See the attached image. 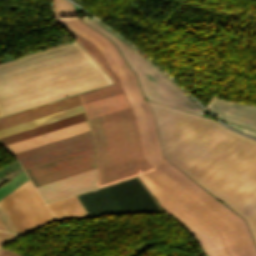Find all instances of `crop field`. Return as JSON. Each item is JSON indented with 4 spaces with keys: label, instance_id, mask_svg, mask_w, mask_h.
I'll list each match as a JSON object with an SVG mask.
<instances>
[{
    "label": "crop field",
    "instance_id": "obj_1",
    "mask_svg": "<svg viewBox=\"0 0 256 256\" xmlns=\"http://www.w3.org/2000/svg\"><path fill=\"white\" fill-rule=\"evenodd\" d=\"M57 21L115 83L80 95L97 144L99 187L137 175L208 256H256L245 221L161 157L135 75L109 39L78 18Z\"/></svg>",
    "mask_w": 256,
    "mask_h": 256
},
{
    "label": "crop field",
    "instance_id": "obj_2",
    "mask_svg": "<svg viewBox=\"0 0 256 256\" xmlns=\"http://www.w3.org/2000/svg\"><path fill=\"white\" fill-rule=\"evenodd\" d=\"M163 157L244 218L256 242V140L148 101Z\"/></svg>",
    "mask_w": 256,
    "mask_h": 256
},
{
    "label": "crop field",
    "instance_id": "obj_3",
    "mask_svg": "<svg viewBox=\"0 0 256 256\" xmlns=\"http://www.w3.org/2000/svg\"><path fill=\"white\" fill-rule=\"evenodd\" d=\"M111 83L75 41L30 53L0 64V117Z\"/></svg>",
    "mask_w": 256,
    "mask_h": 256
},
{
    "label": "crop field",
    "instance_id": "obj_4",
    "mask_svg": "<svg viewBox=\"0 0 256 256\" xmlns=\"http://www.w3.org/2000/svg\"><path fill=\"white\" fill-rule=\"evenodd\" d=\"M81 20L107 36L114 43L136 74L147 99L203 115V110L185 91L167 78L128 43L94 19L83 18Z\"/></svg>",
    "mask_w": 256,
    "mask_h": 256
},
{
    "label": "crop field",
    "instance_id": "obj_5",
    "mask_svg": "<svg viewBox=\"0 0 256 256\" xmlns=\"http://www.w3.org/2000/svg\"><path fill=\"white\" fill-rule=\"evenodd\" d=\"M89 217L129 211H161L137 177L77 195Z\"/></svg>",
    "mask_w": 256,
    "mask_h": 256
},
{
    "label": "crop field",
    "instance_id": "obj_6",
    "mask_svg": "<svg viewBox=\"0 0 256 256\" xmlns=\"http://www.w3.org/2000/svg\"><path fill=\"white\" fill-rule=\"evenodd\" d=\"M0 204L20 233L54 220L30 181L3 198Z\"/></svg>",
    "mask_w": 256,
    "mask_h": 256
},
{
    "label": "crop field",
    "instance_id": "obj_7",
    "mask_svg": "<svg viewBox=\"0 0 256 256\" xmlns=\"http://www.w3.org/2000/svg\"><path fill=\"white\" fill-rule=\"evenodd\" d=\"M96 168L95 147L25 168L35 187Z\"/></svg>",
    "mask_w": 256,
    "mask_h": 256
},
{
    "label": "crop field",
    "instance_id": "obj_8",
    "mask_svg": "<svg viewBox=\"0 0 256 256\" xmlns=\"http://www.w3.org/2000/svg\"><path fill=\"white\" fill-rule=\"evenodd\" d=\"M91 132L82 133L34 149L14 154L23 168L94 147Z\"/></svg>",
    "mask_w": 256,
    "mask_h": 256
},
{
    "label": "crop field",
    "instance_id": "obj_9",
    "mask_svg": "<svg viewBox=\"0 0 256 256\" xmlns=\"http://www.w3.org/2000/svg\"><path fill=\"white\" fill-rule=\"evenodd\" d=\"M206 107L217 117L227 121L226 124L256 137V131L229 124V122H231L256 130L255 106L212 97Z\"/></svg>",
    "mask_w": 256,
    "mask_h": 256
},
{
    "label": "crop field",
    "instance_id": "obj_10",
    "mask_svg": "<svg viewBox=\"0 0 256 256\" xmlns=\"http://www.w3.org/2000/svg\"><path fill=\"white\" fill-rule=\"evenodd\" d=\"M97 187L96 169L44 186L37 187V190L46 203L78 193H82Z\"/></svg>",
    "mask_w": 256,
    "mask_h": 256
},
{
    "label": "crop field",
    "instance_id": "obj_11",
    "mask_svg": "<svg viewBox=\"0 0 256 256\" xmlns=\"http://www.w3.org/2000/svg\"><path fill=\"white\" fill-rule=\"evenodd\" d=\"M77 95L0 118V128L80 105Z\"/></svg>",
    "mask_w": 256,
    "mask_h": 256
},
{
    "label": "crop field",
    "instance_id": "obj_12",
    "mask_svg": "<svg viewBox=\"0 0 256 256\" xmlns=\"http://www.w3.org/2000/svg\"><path fill=\"white\" fill-rule=\"evenodd\" d=\"M87 122L78 123L66 128H62L53 132H49L40 136H36L24 141H20L11 145L4 146L12 154L21 152L30 148H34L43 144H47L56 140H60L69 136H73L82 132L89 131Z\"/></svg>",
    "mask_w": 256,
    "mask_h": 256
},
{
    "label": "crop field",
    "instance_id": "obj_13",
    "mask_svg": "<svg viewBox=\"0 0 256 256\" xmlns=\"http://www.w3.org/2000/svg\"><path fill=\"white\" fill-rule=\"evenodd\" d=\"M85 116L84 114H79V115H75L66 119H62L53 123H49L43 126H39L30 130H26L17 134H13L4 138H0V144L2 146L7 145V144H11L23 139H27L36 135H40L49 131H53L65 126H69L78 122H82L85 121Z\"/></svg>",
    "mask_w": 256,
    "mask_h": 256
},
{
    "label": "crop field",
    "instance_id": "obj_14",
    "mask_svg": "<svg viewBox=\"0 0 256 256\" xmlns=\"http://www.w3.org/2000/svg\"><path fill=\"white\" fill-rule=\"evenodd\" d=\"M82 106L73 107L64 111H60L54 114H50L41 118H37L28 122H24L18 125H14L5 129L0 130V137L10 135L16 132H20L29 128H33L39 125H43L52 121H56L65 117H69L75 114L82 113Z\"/></svg>",
    "mask_w": 256,
    "mask_h": 256
},
{
    "label": "crop field",
    "instance_id": "obj_15",
    "mask_svg": "<svg viewBox=\"0 0 256 256\" xmlns=\"http://www.w3.org/2000/svg\"><path fill=\"white\" fill-rule=\"evenodd\" d=\"M56 219L88 217L76 196L47 204Z\"/></svg>",
    "mask_w": 256,
    "mask_h": 256
},
{
    "label": "crop field",
    "instance_id": "obj_16",
    "mask_svg": "<svg viewBox=\"0 0 256 256\" xmlns=\"http://www.w3.org/2000/svg\"><path fill=\"white\" fill-rule=\"evenodd\" d=\"M55 17L77 15L72 3L67 0H53Z\"/></svg>",
    "mask_w": 256,
    "mask_h": 256
},
{
    "label": "crop field",
    "instance_id": "obj_17",
    "mask_svg": "<svg viewBox=\"0 0 256 256\" xmlns=\"http://www.w3.org/2000/svg\"><path fill=\"white\" fill-rule=\"evenodd\" d=\"M0 217L2 218L3 222L5 223L9 231L19 233V231L14 226V224L12 223V221L10 220L6 212L1 207V205H0Z\"/></svg>",
    "mask_w": 256,
    "mask_h": 256
},
{
    "label": "crop field",
    "instance_id": "obj_18",
    "mask_svg": "<svg viewBox=\"0 0 256 256\" xmlns=\"http://www.w3.org/2000/svg\"><path fill=\"white\" fill-rule=\"evenodd\" d=\"M0 256H19V255H17V254H15V253H13V252H11V251L2 247L0 249Z\"/></svg>",
    "mask_w": 256,
    "mask_h": 256
},
{
    "label": "crop field",
    "instance_id": "obj_19",
    "mask_svg": "<svg viewBox=\"0 0 256 256\" xmlns=\"http://www.w3.org/2000/svg\"><path fill=\"white\" fill-rule=\"evenodd\" d=\"M16 236H18V235L0 232V238H1V239L11 240V239H13V238L16 237Z\"/></svg>",
    "mask_w": 256,
    "mask_h": 256
},
{
    "label": "crop field",
    "instance_id": "obj_20",
    "mask_svg": "<svg viewBox=\"0 0 256 256\" xmlns=\"http://www.w3.org/2000/svg\"><path fill=\"white\" fill-rule=\"evenodd\" d=\"M0 230L7 231L5 226H4V224H3V222L1 221V219H0Z\"/></svg>",
    "mask_w": 256,
    "mask_h": 256
},
{
    "label": "crop field",
    "instance_id": "obj_21",
    "mask_svg": "<svg viewBox=\"0 0 256 256\" xmlns=\"http://www.w3.org/2000/svg\"><path fill=\"white\" fill-rule=\"evenodd\" d=\"M6 242H7V240H1V239H0V246L3 245V244L6 243Z\"/></svg>",
    "mask_w": 256,
    "mask_h": 256
}]
</instances>
